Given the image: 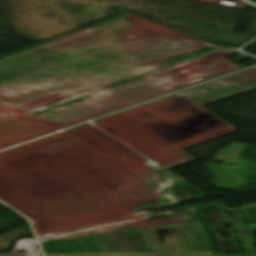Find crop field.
I'll return each instance as SVG.
<instances>
[{
	"mask_svg": "<svg viewBox=\"0 0 256 256\" xmlns=\"http://www.w3.org/2000/svg\"><path fill=\"white\" fill-rule=\"evenodd\" d=\"M170 256H221L212 255V253H191V254H169Z\"/></svg>",
	"mask_w": 256,
	"mask_h": 256,
	"instance_id": "crop-field-2",
	"label": "crop field"
},
{
	"mask_svg": "<svg viewBox=\"0 0 256 256\" xmlns=\"http://www.w3.org/2000/svg\"><path fill=\"white\" fill-rule=\"evenodd\" d=\"M47 256H62L61 254L47 255Z\"/></svg>",
	"mask_w": 256,
	"mask_h": 256,
	"instance_id": "crop-field-4",
	"label": "crop field"
},
{
	"mask_svg": "<svg viewBox=\"0 0 256 256\" xmlns=\"http://www.w3.org/2000/svg\"><path fill=\"white\" fill-rule=\"evenodd\" d=\"M222 256H248V255H222Z\"/></svg>",
	"mask_w": 256,
	"mask_h": 256,
	"instance_id": "crop-field-3",
	"label": "crop field"
},
{
	"mask_svg": "<svg viewBox=\"0 0 256 256\" xmlns=\"http://www.w3.org/2000/svg\"><path fill=\"white\" fill-rule=\"evenodd\" d=\"M63 256H156L155 253L62 254Z\"/></svg>",
	"mask_w": 256,
	"mask_h": 256,
	"instance_id": "crop-field-1",
	"label": "crop field"
}]
</instances>
